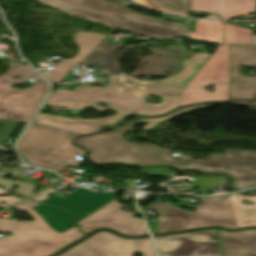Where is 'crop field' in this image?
<instances>
[{"label": "crop field", "instance_id": "obj_1", "mask_svg": "<svg viewBox=\"0 0 256 256\" xmlns=\"http://www.w3.org/2000/svg\"><path fill=\"white\" fill-rule=\"evenodd\" d=\"M109 78L110 87L78 85L74 91L56 89L45 105L75 110L93 107L100 112L112 109L118 114L105 119L86 120L39 112L34 123L88 134L97 133L101 126L117 124L126 114L161 115L178 107V99L182 90L180 88L140 82L126 77ZM127 80H131L134 83L129 85L126 83ZM135 92L159 94L163 96L165 104L162 106H147L146 99L134 97ZM100 101L106 102L109 107L99 106L97 103Z\"/></svg>", "mask_w": 256, "mask_h": 256}, {"label": "crop field", "instance_id": "obj_2", "mask_svg": "<svg viewBox=\"0 0 256 256\" xmlns=\"http://www.w3.org/2000/svg\"><path fill=\"white\" fill-rule=\"evenodd\" d=\"M38 204L27 200L14 208L33 215L34 222L0 219V232L13 234L0 238V256H49L84 236L76 226L56 232L33 209Z\"/></svg>", "mask_w": 256, "mask_h": 256}, {"label": "crop field", "instance_id": "obj_3", "mask_svg": "<svg viewBox=\"0 0 256 256\" xmlns=\"http://www.w3.org/2000/svg\"><path fill=\"white\" fill-rule=\"evenodd\" d=\"M131 129L134 128L125 126L107 134L78 138L76 144L88 149L92 161L97 164H166L180 170V161L170 157L172 150L161 149L158 145L126 141L123 134Z\"/></svg>", "mask_w": 256, "mask_h": 256}, {"label": "crop field", "instance_id": "obj_4", "mask_svg": "<svg viewBox=\"0 0 256 256\" xmlns=\"http://www.w3.org/2000/svg\"><path fill=\"white\" fill-rule=\"evenodd\" d=\"M78 134L31 124L17 145L20 154L31 165L61 171L65 166L76 167L74 155H84L83 150L71 145ZM72 136V137H69Z\"/></svg>", "mask_w": 256, "mask_h": 256}, {"label": "crop field", "instance_id": "obj_5", "mask_svg": "<svg viewBox=\"0 0 256 256\" xmlns=\"http://www.w3.org/2000/svg\"><path fill=\"white\" fill-rule=\"evenodd\" d=\"M73 11L104 20L114 27L150 38L164 39L184 36V26L182 25L146 17L104 0H85Z\"/></svg>", "mask_w": 256, "mask_h": 256}, {"label": "crop field", "instance_id": "obj_6", "mask_svg": "<svg viewBox=\"0 0 256 256\" xmlns=\"http://www.w3.org/2000/svg\"><path fill=\"white\" fill-rule=\"evenodd\" d=\"M19 79H10L15 75ZM29 77H38L33 69L26 65L10 64L9 71L0 76V119L28 121L48 91L47 84L37 79L31 88L18 90L11 84L25 82Z\"/></svg>", "mask_w": 256, "mask_h": 256}, {"label": "crop field", "instance_id": "obj_7", "mask_svg": "<svg viewBox=\"0 0 256 256\" xmlns=\"http://www.w3.org/2000/svg\"><path fill=\"white\" fill-rule=\"evenodd\" d=\"M184 168H194L197 173L222 172L234 178V187L244 189L256 186V152L225 150L207 160L184 159Z\"/></svg>", "mask_w": 256, "mask_h": 256}, {"label": "crop field", "instance_id": "obj_8", "mask_svg": "<svg viewBox=\"0 0 256 256\" xmlns=\"http://www.w3.org/2000/svg\"><path fill=\"white\" fill-rule=\"evenodd\" d=\"M155 256L152 241L126 239L108 231H99L58 256Z\"/></svg>", "mask_w": 256, "mask_h": 256}, {"label": "crop field", "instance_id": "obj_9", "mask_svg": "<svg viewBox=\"0 0 256 256\" xmlns=\"http://www.w3.org/2000/svg\"><path fill=\"white\" fill-rule=\"evenodd\" d=\"M159 256H221L217 232L208 229L196 232L153 237Z\"/></svg>", "mask_w": 256, "mask_h": 256}, {"label": "crop field", "instance_id": "obj_10", "mask_svg": "<svg viewBox=\"0 0 256 256\" xmlns=\"http://www.w3.org/2000/svg\"><path fill=\"white\" fill-rule=\"evenodd\" d=\"M123 206L115 198L79 221L77 225L86 235L98 228H108L127 236L146 235L143 220L133 218L137 213L120 211Z\"/></svg>", "mask_w": 256, "mask_h": 256}, {"label": "crop field", "instance_id": "obj_11", "mask_svg": "<svg viewBox=\"0 0 256 256\" xmlns=\"http://www.w3.org/2000/svg\"><path fill=\"white\" fill-rule=\"evenodd\" d=\"M185 215L192 229L207 226L237 228L229 196L203 198L202 205H196V213L186 211Z\"/></svg>", "mask_w": 256, "mask_h": 256}, {"label": "crop field", "instance_id": "obj_12", "mask_svg": "<svg viewBox=\"0 0 256 256\" xmlns=\"http://www.w3.org/2000/svg\"><path fill=\"white\" fill-rule=\"evenodd\" d=\"M239 65L256 66V45H232L231 82L238 79ZM255 97L256 76H249L231 85V99L252 100Z\"/></svg>", "mask_w": 256, "mask_h": 256}, {"label": "crop field", "instance_id": "obj_13", "mask_svg": "<svg viewBox=\"0 0 256 256\" xmlns=\"http://www.w3.org/2000/svg\"><path fill=\"white\" fill-rule=\"evenodd\" d=\"M117 192L99 194L83 188L67 195L65 198L52 196L46 199L45 204H49L72 212L77 221L89 215L111 199L115 198Z\"/></svg>", "mask_w": 256, "mask_h": 256}, {"label": "crop field", "instance_id": "obj_14", "mask_svg": "<svg viewBox=\"0 0 256 256\" xmlns=\"http://www.w3.org/2000/svg\"><path fill=\"white\" fill-rule=\"evenodd\" d=\"M229 45H221L186 87L229 83Z\"/></svg>", "mask_w": 256, "mask_h": 256}, {"label": "crop field", "instance_id": "obj_15", "mask_svg": "<svg viewBox=\"0 0 256 256\" xmlns=\"http://www.w3.org/2000/svg\"><path fill=\"white\" fill-rule=\"evenodd\" d=\"M217 232L223 256H256V229Z\"/></svg>", "mask_w": 256, "mask_h": 256}, {"label": "crop field", "instance_id": "obj_16", "mask_svg": "<svg viewBox=\"0 0 256 256\" xmlns=\"http://www.w3.org/2000/svg\"><path fill=\"white\" fill-rule=\"evenodd\" d=\"M104 37L106 35L79 32L75 38L81 50L75 59L64 60L58 63L53 69L42 74L50 79L52 83L60 82L70 71V68L79 64Z\"/></svg>", "mask_w": 256, "mask_h": 256}, {"label": "crop field", "instance_id": "obj_17", "mask_svg": "<svg viewBox=\"0 0 256 256\" xmlns=\"http://www.w3.org/2000/svg\"><path fill=\"white\" fill-rule=\"evenodd\" d=\"M120 47L100 42L82 62L100 64L103 76L120 75L115 66L116 50Z\"/></svg>", "mask_w": 256, "mask_h": 256}, {"label": "crop field", "instance_id": "obj_18", "mask_svg": "<svg viewBox=\"0 0 256 256\" xmlns=\"http://www.w3.org/2000/svg\"><path fill=\"white\" fill-rule=\"evenodd\" d=\"M210 56V54L198 53L191 58L185 59L183 60L185 68L182 71L164 81L157 82L185 87L186 84L195 76L198 70L206 63Z\"/></svg>", "mask_w": 256, "mask_h": 256}, {"label": "crop field", "instance_id": "obj_19", "mask_svg": "<svg viewBox=\"0 0 256 256\" xmlns=\"http://www.w3.org/2000/svg\"><path fill=\"white\" fill-rule=\"evenodd\" d=\"M38 214L56 231L64 232L75 226L74 218L67 211L46 205H38L34 208ZM42 214L47 215L43 217Z\"/></svg>", "mask_w": 256, "mask_h": 256}, {"label": "crop field", "instance_id": "obj_20", "mask_svg": "<svg viewBox=\"0 0 256 256\" xmlns=\"http://www.w3.org/2000/svg\"><path fill=\"white\" fill-rule=\"evenodd\" d=\"M214 88V94H209L203 89L184 90L180 97V106L199 102L222 101L228 99V85H215Z\"/></svg>", "mask_w": 256, "mask_h": 256}, {"label": "crop field", "instance_id": "obj_21", "mask_svg": "<svg viewBox=\"0 0 256 256\" xmlns=\"http://www.w3.org/2000/svg\"><path fill=\"white\" fill-rule=\"evenodd\" d=\"M189 37L223 44V24L218 21L196 20L195 33L189 32Z\"/></svg>", "mask_w": 256, "mask_h": 256}, {"label": "crop field", "instance_id": "obj_22", "mask_svg": "<svg viewBox=\"0 0 256 256\" xmlns=\"http://www.w3.org/2000/svg\"><path fill=\"white\" fill-rule=\"evenodd\" d=\"M255 8L256 0H223V11L219 16L226 20L255 13Z\"/></svg>", "mask_w": 256, "mask_h": 256}, {"label": "crop field", "instance_id": "obj_23", "mask_svg": "<svg viewBox=\"0 0 256 256\" xmlns=\"http://www.w3.org/2000/svg\"><path fill=\"white\" fill-rule=\"evenodd\" d=\"M231 199L233 200L234 211L237 221V226H250L256 225V206L252 207H243L237 206L236 198L248 199L256 203V197H244L239 194L231 195Z\"/></svg>", "mask_w": 256, "mask_h": 256}, {"label": "crop field", "instance_id": "obj_24", "mask_svg": "<svg viewBox=\"0 0 256 256\" xmlns=\"http://www.w3.org/2000/svg\"><path fill=\"white\" fill-rule=\"evenodd\" d=\"M158 220V233L190 229L184 214L165 215Z\"/></svg>", "mask_w": 256, "mask_h": 256}, {"label": "crop field", "instance_id": "obj_25", "mask_svg": "<svg viewBox=\"0 0 256 256\" xmlns=\"http://www.w3.org/2000/svg\"><path fill=\"white\" fill-rule=\"evenodd\" d=\"M252 30L225 24V44H250Z\"/></svg>", "mask_w": 256, "mask_h": 256}, {"label": "crop field", "instance_id": "obj_26", "mask_svg": "<svg viewBox=\"0 0 256 256\" xmlns=\"http://www.w3.org/2000/svg\"><path fill=\"white\" fill-rule=\"evenodd\" d=\"M203 108H207L206 104L205 105H197V106L184 108V109H179L163 118H146V119H138V120H139V122H149V125L143 128L144 130H147V129H151V128L157 126L158 124H160L166 120L184 115L186 113L192 112L197 109H203Z\"/></svg>", "mask_w": 256, "mask_h": 256}, {"label": "crop field", "instance_id": "obj_27", "mask_svg": "<svg viewBox=\"0 0 256 256\" xmlns=\"http://www.w3.org/2000/svg\"><path fill=\"white\" fill-rule=\"evenodd\" d=\"M14 185L19 186V188L17 190H12ZM0 187L8 189L13 193L27 197L32 194L35 185L23 182H12L10 180L0 178Z\"/></svg>", "mask_w": 256, "mask_h": 256}, {"label": "crop field", "instance_id": "obj_28", "mask_svg": "<svg viewBox=\"0 0 256 256\" xmlns=\"http://www.w3.org/2000/svg\"><path fill=\"white\" fill-rule=\"evenodd\" d=\"M190 10L217 13L220 11V3L219 0H191Z\"/></svg>", "mask_w": 256, "mask_h": 256}, {"label": "crop field", "instance_id": "obj_29", "mask_svg": "<svg viewBox=\"0 0 256 256\" xmlns=\"http://www.w3.org/2000/svg\"><path fill=\"white\" fill-rule=\"evenodd\" d=\"M45 2V4L61 11L68 12L75 8L78 4H80L84 0H41Z\"/></svg>", "mask_w": 256, "mask_h": 256}, {"label": "crop field", "instance_id": "obj_30", "mask_svg": "<svg viewBox=\"0 0 256 256\" xmlns=\"http://www.w3.org/2000/svg\"><path fill=\"white\" fill-rule=\"evenodd\" d=\"M137 3L144 5L146 7L159 10V11H164V12H169V13H174V14H180V15H185L187 16L189 12L185 11H176L167 5L161 3L158 0H135Z\"/></svg>", "mask_w": 256, "mask_h": 256}, {"label": "crop field", "instance_id": "obj_31", "mask_svg": "<svg viewBox=\"0 0 256 256\" xmlns=\"http://www.w3.org/2000/svg\"><path fill=\"white\" fill-rule=\"evenodd\" d=\"M195 187H200L202 189V195H207V188L220 187V176L195 178Z\"/></svg>", "mask_w": 256, "mask_h": 256}, {"label": "crop field", "instance_id": "obj_32", "mask_svg": "<svg viewBox=\"0 0 256 256\" xmlns=\"http://www.w3.org/2000/svg\"><path fill=\"white\" fill-rule=\"evenodd\" d=\"M149 209L154 210V211H158V212H164L166 214L184 213V210H182L180 208L172 207V206H170L168 204H165V203H163L161 201H158L157 203H155Z\"/></svg>", "mask_w": 256, "mask_h": 256}, {"label": "crop field", "instance_id": "obj_33", "mask_svg": "<svg viewBox=\"0 0 256 256\" xmlns=\"http://www.w3.org/2000/svg\"><path fill=\"white\" fill-rule=\"evenodd\" d=\"M16 124L17 122L0 121V144L10 136Z\"/></svg>", "mask_w": 256, "mask_h": 256}, {"label": "crop field", "instance_id": "obj_34", "mask_svg": "<svg viewBox=\"0 0 256 256\" xmlns=\"http://www.w3.org/2000/svg\"><path fill=\"white\" fill-rule=\"evenodd\" d=\"M143 173H149L158 176L174 177L175 173L168 171L166 167L142 168Z\"/></svg>", "mask_w": 256, "mask_h": 256}, {"label": "crop field", "instance_id": "obj_35", "mask_svg": "<svg viewBox=\"0 0 256 256\" xmlns=\"http://www.w3.org/2000/svg\"><path fill=\"white\" fill-rule=\"evenodd\" d=\"M169 5L177 8V9H184L189 10L190 0H162Z\"/></svg>", "mask_w": 256, "mask_h": 256}, {"label": "crop field", "instance_id": "obj_36", "mask_svg": "<svg viewBox=\"0 0 256 256\" xmlns=\"http://www.w3.org/2000/svg\"><path fill=\"white\" fill-rule=\"evenodd\" d=\"M19 200H21V199L17 198V197H13V196L0 197V207L6 208ZM3 201L6 203L2 204L1 202H3Z\"/></svg>", "mask_w": 256, "mask_h": 256}, {"label": "crop field", "instance_id": "obj_37", "mask_svg": "<svg viewBox=\"0 0 256 256\" xmlns=\"http://www.w3.org/2000/svg\"><path fill=\"white\" fill-rule=\"evenodd\" d=\"M55 190H57V189L51 188V189H49V190H47V191H45V192H43V193H41V194H39V195H37V196L31 198V199H34V200H37V201L42 202V201L45 200L47 197H49V196H48L49 193H51V192H53V191H55ZM51 194H52V193H51ZM49 195H50V194H49Z\"/></svg>", "mask_w": 256, "mask_h": 256}, {"label": "crop field", "instance_id": "obj_38", "mask_svg": "<svg viewBox=\"0 0 256 256\" xmlns=\"http://www.w3.org/2000/svg\"><path fill=\"white\" fill-rule=\"evenodd\" d=\"M229 104H233V105H240V106H249V107H256V101L255 102H244V101H232V102H228Z\"/></svg>", "mask_w": 256, "mask_h": 256}, {"label": "crop field", "instance_id": "obj_39", "mask_svg": "<svg viewBox=\"0 0 256 256\" xmlns=\"http://www.w3.org/2000/svg\"><path fill=\"white\" fill-rule=\"evenodd\" d=\"M70 15H74V16H77V17H80V18H83V19H88V20H92V21H96V22H100V23H104V24H107L109 25L108 23L104 22V21H100V20H97V19H93V18H90V17H87V16H83V15H80L78 13H75L73 11H71L70 13H68Z\"/></svg>", "mask_w": 256, "mask_h": 256}, {"label": "crop field", "instance_id": "obj_40", "mask_svg": "<svg viewBox=\"0 0 256 256\" xmlns=\"http://www.w3.org/2000/svg\"><path fill=\"white\" fill-rule=\"evenodd\" d=\"M0 195H11L10 193L0 189Z\"/></svg>", "mask_w": 256, "mask_h": 256}, {"label": "crop field", "instance_id": "obj_41", "mask_svg": "<svg viewBox=\"0 0 256 256\" xmlns=\"http://www.w3.org/2000/svg\"><path fill=\"white\" fill-rule=\"evenodd\" d=\"M251 44H256V36H252V39H251Z\"/></svg>", "mask_w": 256, "mask_h": 256}, {"label": "crop field", "instance_id": "obj_42", "mask_svg": "<svg viewBox=\"0 0 256 256\" xmlns=\"http://www.w3.org/2000/svg\"><path fill=\"white\" fill-rule=\"evenodd\" d=\"M141 93H135V96H137V97H141V96H139ZM147 94H152V93H147ZM164 103V102H163ZM160 105H162V104H160Z\"/></svg>", "mask_w": 256, "mask_h": 256}, {"label": "crop field", "instance_id": "obj_43", "mask_svg": "<svg viewBox=\"0 0 256 256\" xmlns=\"http://www.w3.org/2000/svg\"><path fill=\"white\" fill-rule=\"evenodd\" d=\"M237 201L239 202V201H241V199H237ZM238 205H241L240 203H238ZM244 206V205H243Z\"/></svg>", "mask_w": 256, "mask_h": 256}, {"label": "crop field", "instance_id": "obj_44", "mask_svg": "<svg viewBox=\"0 0 256 256\" xmlns=\"http://www.w3.org/2000/svg\"><path fill=\"white\" fill-rule=\"evenodd\" d=\"M214 19H220L218 16H216Z\"/></svg>", "mask_w": 256, "mask_h": 256}, {"label": "crop field", "instance_id": "obj_45", "mask_svg": "<svg viewBox=\"0 0 256 256\" xmlns=\"http://www.w3.org/2000/svg\"><path fill=\"white\" fill-rule=\"evenodd\" d=\"M212 16H213V15H210V14H209V18H211Z\"/></svg>", "mask_w": 256, "mask_h": 256}]
</instances>
